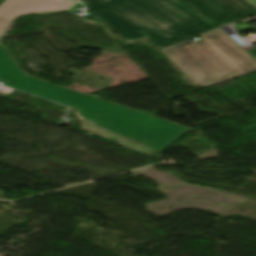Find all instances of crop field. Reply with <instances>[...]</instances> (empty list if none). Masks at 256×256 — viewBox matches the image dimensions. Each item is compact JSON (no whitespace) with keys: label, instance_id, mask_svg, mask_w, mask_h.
Listing matches in <instances>:
<instances>
[{"label":"crop field","instance_id":"obj_1","mask_svg":"<svg viewBox=\"0 0 256 256\" xmlns=\"http://www.w3.org/2000/svg\"><path fill=\"white\" fill-rule=\"evenodd\" d=\"M129 44L162 49L256 14V0H82Z\"/></svg>","mask_w":256,"mask_h":256},{"label":"crop field","instance_id":"obj_2","mask_svg":"<svg viewBox=\"0 0 256 256\" xmlns=\"http://www.w3.org/2000/svg\"><path fill=\"white\" fill-rule=\"evenodd\" d=\"M0 81L77 108L80 116L138 143L163 151L190 128L133 111L26 76L0 44Z\"/></svg>","mask_w":256,"mask_h":256},{"label":"crop field","instance_id":"obj_3","mask_svg":"<svg viewBox=\"0 0 256 256\" xmlns=\"http://www.w3.org/2000/svg\"><path fill=\"white\" fill-rule=\"evenodd\" d=\"M161 51L201 89L256 72V61L221 29Z\"/></svg>","mask_w":256,"mask_h":256},{"label":"crop field","instance_id":"obj_4","mask_svg":"<svg viewBox=\"0 0 256 256\" xmlns=\"http://www.w3.org/2000/svg\"><path fill=\"white\" fill-rule=\"evenodd\" d=\"M74 0H5L0 5V35L19 14L61 10L70 7Z\"/></svg>","mask_w":256,"mask_h":256},{"label":"crop field","instance_id":"obj_5","mask_svg":"<svg viewBox=\"0 0 256 256\" xmlns=\"http://www.w3.org/2000/svg\"><path fill=\"white\" fill-rule=\"evenodd\" d=\"M83 119V125H84V129H87L99 136H102V137H105L107 139H110V140H113V141H116L118 143H121V144H124L126 146H129L131 148H134V149H137L139 151H142V152H145V153H152L154 150L148 148V147H145L141 144H138L132 140H129L123 136H120L114 132H111L105 128H102L100 126H97L87 120H85L84 118Z\"/></svg>","mask_w":256,"mask_h":256},{"label":"crop field","instance_id":"obj_6","mask_svg":"<svg viewBox=\"0 0 256 256\" xmlns=\"http://www.w3.org/2000/svg\"><path fill=\"white\" fill-rule=\"evenodd\" d=\"M248 54H250L256 60V48L246 50Z\"/></svg>","mask_w":256,"mask_h":256},{"label":"crop field","instance_id":"obj_7","mask_svg":"<svg viewBox=\"0 0 256 256\" xmlns=\"http://www.w3.org/2000/svg\"><path fill=\"white\" fill-rule=\"evenodd\" d=\"M3 0H0V3L2 2Z\"/></svg>","mask_w":256,"mask_h":256}]
</instances>
